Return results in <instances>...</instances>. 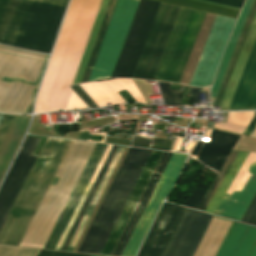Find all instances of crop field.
Returning <instances> with one entry per match:
<instances>
[{
	"mask_svg": "<svg viewBox=\"0 0 256 256\" xmlns=\"http://www.w3.org/2000/svg\"><path fill=\"white\" fill-rule=\"evenodd\" d=\"M101 0H72L53 57L39 91L35 112L86 108L68 88Z\"/></svg>",
	"mask_w": 256,
	"mask_h": 256,
	"instance_id": "obj_1",
	"label": "crop field"
},
{
	"mask_svg": "<svg viewBox=\"0 0 256 256\" xmlns=\"http://www.w3.org/2000/svg\"><path fill=\"white\" fill-rule=\"evenodd\" d=\"M68 0H0V43L50 53Z\"/></svg>",
	"mask_w": 256,
	"mask_h": 256,
	"instance_id": "obj_2",
	"label": "crop field"
},
{
	"mask_svg": "<svg viewBox=\"0 0 256 256\" xmlns=\"http://www.w3.org/2000/svg\"><path fill=\"white\" fill-rule=\"evenodd\" d=\"M95 144L73 140L50 187L55 196L43 198L20 246L43 248Z\"/></svg>",
	"mask_w": 256,
	"mask_h": 256,
	"instance_id": "obj_3",
	"label": "crop field"
},
{
	"mask_svg": "<svg viewBox=\"0 0 256 256\" xmlns=\"http://www.w3.org/2000/svg\"><path fill=\"white\" fill-rule=\"evenodd\" d=\"M150 153L129 148L78 251L101 253Z\"/></svg>",
	"mask_w": 256,
	"mask_h": 256,
	"instance_id": "obj_4",
	"label": "crop field"
},
{
	"mask_svg": "<svg viewBox=\"0 0 256 256\" xmlns=\"http://www.w3.org/2000/svg\"><path fill=\"white\" fill-rule=\"evenodd\" d=\"M171 153L163 152L138 204L136 205L112 255L120 256ZM187 155L173 153L122 256H134L161 201L174 185Z\"/></svg>",
	"mask_w": 256,
	"mask_h": 256,
	"instance_id": "obj_5",
	"label": "crop field"
},
{
	"mask_svg": "<svg viewBox=\"0 0 256 256\" xmlns=\"http://www.w3.org/2000/svg\"><path fill=\"white\" fill-rule=\"evenodd\" d=\"M0 51L43 60L45 55L0 45ZM44 62L0 53V109L24 111L35 88L5 87V81H29L36 84ZM4 112V111H3Z\"/></svg>",
	"mask_w": 256,
	"mask_h": 256,
	"instance_id": "obj_6",
	"label": "crop field"
},
{
	"mask_svg": "<svg viewBox=\"0 0 256 256\" xmlns=\"http://www.w3.org/2000/svg\"><path fill=\"white\" fill-rule=\"evenodd\" d=\"M205 14L181 8L154 80L179 82Z\"/></svg>",
	"mask_w": 256,
	"mask_h": 256,
	"instance_id": "obj_7",
	"label": "crop field"
},
{
	"mask_svg": "<svg viewBox=\"0 0 256 256\" xmlns=\"http://www.w3.org/2000/svg\"><path fill=\"white\" fill-rule=\"evenodd\" d=\"M139 0H117L88 81L109 78Z\"/></svg>",
	"mask_w": 256,
	"mask_h": 256,
	"instance_id": "obj_8",
	"label": "crop field"
},
{
	"mask_svg": "<svg viewBox=\"0 0 256 256\" xmlns=\"http://www.w3.org/2000/svg\"><path fill=\"white\" fill-rule=\"evenodd\" d=\"M159 4L149 0L139 1L110 78L132 77Z\"/></svg>",
	"mask_w": 256,
	"mask_h": 256,
	"instance_id": "obj_9",
	"label": "crop field"
},
{
	"mask_svg": "<svg viewBox=\"0 0 256 256\" xmlns=\"http://www.w3.org/2000/svg\"><path fill=\"white\" fill-rule=\"evenodd\" d=\"M180 8L160 4L132 78L154 79Z\"/></svg>",
	"mask_w": 256,
	"mask_h": 256,
	"instance_id": "obj_10",
	"label": "crop field"
},
{
	"mask_svg": "<svg viewBox=\"0 0 256 256\" xmlns=\"http://www.w3.org/2000/svg\"><path fill=\"white\" fill-rule=\"evenodd\" d=\"M40 138L27 136L0 188V229L37 157L33 154Z\"/></svg>",
	"mask_w": 256,
	"mask_h": 256,
	"instance_id": "obj_11",
	"label": "crop field"
},
{
	"mask_svg": "<svg viewBox=\"0 0 256 256\" xmlns=\"http://www.w3.org/2000/svg\"><path fill=\"white\" fill-rule=\"evenodd\" d=\"M251 162H256V153H249L247 159L242 165L240 171L235 177L224 198L228 199L231 193H234L238 184L245 185L254 171L247 170ZM249 169L256 170V163H251ZM256 192V171L246 183L245 186L238 185L234 194L229 200L223 199L217 208L215 214L227 216L234 219H240L249 202Z\"/></svg>",
	"mask_w": 256,
	"mask_h": 256,
	"instance_id": "obj_12",
	"label": "crop field"
},
{
	"mask_svg": "<svg viewBox=\"0 0 256 256\" xmlns=\"http://www.w3.org/2000/svg\"><path fill=\"white\" fill-rule=\"evenodd\" d=\"M211 218L187 208L163 256H193Z\"/></svg>",
	"mask_w": 256,
	"mask_h": 256,
	"instance_id": "obj_13",
	"label": "crop field"
},
{
	"mask_svg": "<svg viewBox=\"0 0 256 256\" xmlns=\"http://www.w3.org/2000/svg\"><path fill=\"white\" fill-rule=\"evenodd\" d=\"M185 209L164 202L137 256H162Z\"/></svg>",
	"mask_w": 256,
	"mask_h": 256,
	"instance_id": "obj_14",
	"label": "crop field"
},
{
	"mask_svg": "<svg viewBox=\"0 0 256 256\" xmlns=\"http://www.w3.org/2000/svg\"><path fill=\"white\" fill-rule=\"evenodd\" d=\"M106 145L96 144L44 248L54 249Z\"/></svg>",
	"mask_w": 256,
	"mask_h": 256,
	"instance_id": "obj_15",
	"label": "crop field"
},
{
	"mask_svg": "<svg viewBox=\"0 0 256 256\" xmlns=\"http://www.w3.org/2000/svg\"><path fill=\"white\" fill-rule=\"evenodd\" d=\"M238 138V135L212 129L209 142H197L191 155L219 172Z\"/></svg>",
	"mask_w": 256,
	"mask_h": 256,
	"instance_id": "obj_16",
	"label": "crop field"
},
{
	"mask_svg": "<svg viewBox=\"0 0 256 256\" xmlns=\"http://www.w3.org/2000/svg\"><path fill=\"white\" fill-rule=\"evenodd\" d=\"M98 107L111 102L112 105L124 102L117 92L127 89L138 102L145 103L132 79H114L80 85Z\"/></svg>",
	"mask_w": 256,
	"mask_h": 256,
	"instance_id": "obj_17",
	"label": "crop field"
},
{
	"mask_svg": "<svg viewBox=\"0 0 256 256\" xmlns=\"http://www.w3.org/2000/svg\"><path fill=\"white\" fill-rule=\"evenodd\" d=\"M162 152L153 151L102 254L111 255L136 203L138 202Z\"/></svg>",
	"mask_w": 256,
	"mask_h": 256,
	"instance_id": "obj_18",
	"label": "crop field"
},
{
	"mask_svg": "<svg viewBox=\"0 0 256 256\" xmlns=\"http://www.w3.org/2000/svg\"><path fill=\"white\" fill-rule=\"evenodd\" d=\"M256 109V40L228 110Z\"/></svg>",
	"mask_w": 256,
	"mask_h": 256,
	"instance_id": "obj_19",
	"label": "crop field"
},
{
	"mask_svg": "<svg viewBox=\"0 0 256 256\" xmlns=\"http://www.w3.org/2000/svg\"><path fill=\"white\" fill-rule=\"evenodd\" d=\"M255 238V228L233 222L216 256H247Z\"/></svg>",
	"mask_w": 256,
	"mask_h": 256,
	"instance_id": "obj_20",
	"label": "crop field"
},
{
	"mask_svg": "<svg viewBox=\"0 0 256 256\" xmlns=\"http://www.w3.org/2000/svg\"><path fill=\"white\" fill-rule=\"evenodd\" d=\"M255 37H256V14L251 24V27L249 29V32L247 34V37L245 39V42L243 44L242 50L240 52V55L234 67L230 80L228 82V85L223 95V98L221 100V103L219 105L222 110L228 109L233 93L235 91V88L237 86L241 73L243 71L244 65L246 63V60L248 58V55L254 43Z\"/></svg>",
	"mask_w": 256,
	"mask_h": 256,
	"instance_id": "obj_21",
	"label": "crop field"
},
{
	"mask_svg": "<svg viewBox=\"0 0 256 256\" xmlns=\"http://www.w3.org/2000/svg\"><path fill=\"white\" fill-rule=\"evenodd\" d=\"M231 222L212 218L194 256H215Z\"/></svg>",
	"mask_w": 256,
	"mask_h": 256,
	"instance_id": "obj_22",
	"label": "crop field"
},
{
	"mask_svg": "<svg viewBox=\"0 0 256 256\" xmlns=\"http://www.w3.org/2000/svg\"><path fill=\"white\" fill-rule=\"evenodd\" d=\"M255 11H256V0H253L252 5H251L250 10L248 12V15L246 17V20L244 22L243 28L241 30V33L239 35V38H238L237 43L235 45L234 51L232 53V56L230 58V61L228 63V66L226 68L225 74L223 76V79L221 81V84L219 86V89L217 91L216 97H215L214 102H213L212 105L218 106L219 103H220V100H221L222 95L224 93L225 87L227 85V82L229 80V77L231 75L233 67H234L235 62L237 60V57L239 55L240 49L242 47V44L244 42V39L246 37V34L248 32V29L250 27L252 19L254 17Z\"/></svg>",
	"mask_w": 256,
	"mask_h": 256,
	"instance_id": "obj_23",
	"label": "crop field"
},
{
	"mask_svg": "<svg viewBox=\"0 0 256 256\" xmlns=\"http://www.w3.org/2000/svg\"><path fill=\"white\" fill-rule=\"evenodd\" d=\"M158 2L184 6L204 12L237 18L240 9L217 5L199 0H154Z\"/></svg>",
	"mask_w": 256,
	"mask_h": 256,
	"instance_id": "obj_24",
	"label": "crop field"
},
{
	"mask_svg": "<svg viewBox=\"0 0 256 256\" xmlns=\"http://www.w3.org/2000/svg\"><path fill=\"white\" fill-rule=\"evenodd\" d=\"M247 152L239 151L238 155L236 156L234 162L232 163L231 167L229 168L228 172L226 173L225 177L223 178L221 184L219 185L218 189L216 190L215 194L213 195L212 199L210 200L208 206L205 209V212L214 213L215 209L217 208L218 204L220 203L221 199L223 198L225 192L227 191L228 187L230 186L232 180L234 179L236 173L238 172L240 166L242 165L243 161L247 156Z\"/></svg>",
	"mask_w": 256,
	"mask_h": 256,
	"instance_id": "obj_25",
	"label": "crop field"
},
{
	"mask_svg": "<svg viewBox=\"0 0 256 256\" xmlns=\"http://www.w3.org/2000/svg\"><path fill=\"white\" fill-rule=\"evenodd\" d=\"M251 2H252V0H247L246 3H245V5H244V7H243V9H242V11H241V14H240V16H239V19H238V21H237V24H236V26H235V28H234V31H233L232 36H231V38H230L229 44H228V46H227L226 52H225V54H224L223 60H222V62H221V65H220V67H219V70H218V72H217V75H216V77H215V79H214V82H213V84H212L211 97H214L215 94H216V91H217V89H218L219 83H220V81H221V78H222V76H223V73H224V71H225V68H226V66H227V63H228V61H229L230 55H231V53H232V50H233V48H234V45H235L236 40H237V38H238V35H239V33H240L241 27H242V25H243V22H244V20H245V17H246V15H247V12H248V10H249V7H250V5H251Z\"/></svg>",
	"mask_w": 256,
	"mask_h": 256,
	"instance_id": "obj_26",
	"label": "crop field"
},
{
	"mask_svg": "<svg viewBox=\"0 0 256 256\" xmlns=\"http://www.w3.org/2000/svg\"><path fill=\"white\" fill-rule=\"evenodd\" d=\"M108 1L109 0H102V3H101V6L99 8V11H98L95 23L93 25V28H92V31H91V34H90V37H89L86 49L84 51L81 63L79 65L78 69H77V72H76V75H75V78H74L72 84L78 83V82L81 81L82 75L84 73V70H85V67H86L89 55L91 53V50H92V47H93V44H94V41H95V38H96V35H97L99 27H100L103 15L105 13Z\"/></svg>",
	"mask_w": 256,
	"mask_h": 256,
	"instance_id": "obj_27",
	"label": "crop field"
},
{
	"mask_svg": "<svg viewBox=\"0 0 256 256\" xmlns=\"http://www.w3.org/2000/svg\"><path fill=\"white\" fill-rule=\"evenodd\" d=\"M116 148H117V146H112V148H111V150H110V152H109V154H108V156H107V158H106V160H105V162H104V164H103V166H102V168H101V170H100V172H99V174H98V176H97V178H96V180H95V182H94V184H93V186H92V188H91V190H90V192H89V194H88V196H87V198H86V200H85V202H84V204H83V206H82V208H81V210H80V212H79V214H78V216H77V218H76V220H75V222H74V224H73V226H72V228H71V230H70V232H69V234H68V236H67V238L64 242V244H63V246H62V248H61V250H66V248H67V246H68V244H69V242H70V240H71V238H72V236H73V234H74V232H75V230H76V228H77V226H78V224H79V222H80V220H81V218H82V216H83V214H84V212H85V210H86V208H87V206H88V204H89V202H90V200H91V198H92V196H93V194H94V192H95V190H96V188H97V186H98V184H99V182H100V180H101V178H102V176H103V174H104V172H105V170H106V168H107V166H108V164H109V162H110V160H111V158L114 154V152H115V150H116Z\"/></svg>",
	"mask_w": 256,
	"mask_h": 256,
	"instance_id": "obj_28",
	"label": "crop field"
},
{
	"mask_svg": "<svg viewBox=\"0 0 256 256\" xmlns=\"http://www.w3.org/2000/svg\"><path fill=\"white\" fill-rule=\"evenodd\" d=\"M115 3H116V0H110V1H109V4H108L107 10H106L104 19H103V21H102V24H101V27H100L98 36H97V38H96V41H95V44H94L92 53H91V55H90V58H89V61H88V64H87V67H86V70H85V73H84V75H83V78H82V81H81V82H87V80H88V77H89V75H90L92 66H93V64H94L96 55H97L98 50H99V47H100V44H101V42H102L104 33H105V31H106L108 22H109V20H110L112 11H113V9H114Z\"/></svg>",
	"mask_w": 256,
	"mask_h": 256,
	"instance_id": "obj_29",
	"label": "crop field"
},
{
	"mask_svg": "<svg viewBox=\"0 0 256 256\" xmlns=\"http://www.w3.org/2000/svg\"><path fill=\"white\" fill-rule=\"evenodd\" d=\"M253 116L254 112L229 113L226 123L215 124L214 127L242 134Z\"/></svg>",
	"mask_w": 256,
	"mask_h": 256,
	"instance_id": "obj_30",
	"label": "crop field"
},
{
	"mask_svg": "<svg viewBox=\"0 0 256 256\" xmlns=\"http://www.w3.org/2000/svg\"><path fill=\"white\" fill-rule=\"evenodd\" d=\"M110 148H111V146L107 145V147H106V149H105V151H104V153H103V155H102V157H101V159H100V161H99V163H98V165H97V167H96V169H95V171H94V173H93V175L90 179L91 182H94V180H95V178H96V176H97V174H98V172H99V170H100V168H101V166H102ZM91 182L88 183V185H87V187H86V189H85V191H84V193H83V195H82V197H81V199H80V201H79V203H78V205H77V207H76V209H75V211H74V213H73V215H72V217H71V219H70V221H69V223H68V225H67V227H66V229H65V231H64V233H63V235H62V237H61V239L58 243V245H57V247H56L57 250L60 249V247H61V245H62V243H63V241H64V239H65V237H66V235H67V233H68V231H69V229H70V227H71V225H72V223H73V221H74V219H75V217H76V215H77V213H78V211H79V209H80V207H81V205H82V203H83V201H84V199H85V197H86V195H87V193H88V191H89V189L92 185Z\"/></svg>",
	"mask_w": 256,
	"mask_h": 256,
	"instance_id": "obj_31",
	"label": "crop field"
},
{
	"mask_svg": "<svg viewBox=\"0 0 256 256\" xmlns=\"http://www.w3.org/2000/svg\"><path fill=\"white\" fill-rule=\"evenodd\" d=\"M237 153H238V151H231L226 162L224 163L223 167L221 168L218 176L216 177V179L212 182L211 186L209 187L206 196L204 197V199L202 200L201 204L198 207V210L204 211L205 207L207 206L209 200L211 199L212 195L214 194L215 190L217 189L218 185L220 184L222 178L224 177L225 173L227 172L228 168L230 167V165L233 162Z\"/></svg>",
	"mask_w": 256,
	"mask_h": 256,
	"instance_id": "obj_32",
	"label": "crop field"
},
{
	"mask_svg": "<svg viewBox=\"0 0 256 256\" xmlns=\"http://www.w3.org/2000/svg\"><path fill=\"white\" fill-rule=\"evenodd\" d=\"M166 106H181L180 91L170 90L169 83L158 82Z\"/></svg>",
	"mask_w": 256,
	"mask_h": 256,
	"instance_id": "obj_33",
	"label": "crop field"
},
{
	"mask_svg": "<svg viewBox=\"0 0 256 256\" xmlns=\"http://www.w3.org/2000/svg\"><path fill=\"white\" fill-rule=\"evenodd\" d=\"M39 250L0 246V256H36Z\"/></svg>",
	"mask_w": 256,
	"mask_h": 256,
	"instance_id": "obj_34",
	"label": "crop field"
},
{
	"mask_svg": "<svg viewBox=\"0 0 256 256\" xmlns=\"http://www.w3.org/2000/svg\"><path fill=\"white\" fill-rule=\"evenodd\" d=\"M240 222L256 225V194L243 214Z\"/></svg>",
	"mask_w": 256,
	"mask_h": 256,
	"instance_id": "obj_35",
	"label": "crop field"
},
{
	"mask_svg": "<svg viewBox=\"0 0 256 256\" xmlns=\"http://www.w3.org/2000/svg\"><path fill=\"white\" fill-rule=\"evenodd\" d=\"M206 191L194 189L192 195L189 197V199L185 202L184 206H188L191 208L197 209L200 201L202 200L204 194Z\"/></svg>",
	"mask_w": 256,
	"mask_h": 256,
	"instance_id": "obj_36",
	"label": "crop field"
},
{
	"mask_svg": "<svg viewBox=\"0 0 256 256\" xmlns=\"http://www.w3.org/2000/svg\"><path fill=\"white\" fill-rule=\"evenodd\" d=\"M5 114H0V123L3 119ZM15 115H5L1 125H0V145L14 119Z\"/></svg>",
	"mask_w": 256,
	"mask_h": 256,
	"instance_id": "obj_37",
	"label": "crop field"
},
{
	"mask_svg": "<svg viewBox=\"0 0 256 256\" xmlns=\"http://www.w3.org/2000/svg\"><path fill=\"white\" fill-rule=\"evenodd\" d=\"M71 88L89 107H97V105L87 96L79 85L72 86Z\"/></svg>",
	"mask_w": 256,
	"mask_h": 256,
	"instance_id": "obj_38",
	"label": "crop field"
},
{
	"mask_svg": "<svg viewBox=\"0 0 256 256\" xmlns=\"http://www.w3.org/2000/svg\"><path fill=\"white\" fill-rule=\"evenodd\" d=\"M204 1L231 6L235 8H241L245 0H204Z\"/></svg>",
	"mask_w": 256,
	"mask_h": 256,
	"instance_id": "obj_39",
	"label": "crop field"
},
{
	"mask_svg": "<svg viewBox=\"0 0 256 256\" xmlns=\"http://www.w3.org/2000/svg\"><path fill=\"white\" fill-rule=\"evenodd\" d=\"M172 141L169 140H163V139H154L153 147L154 149H160V150H169V147L171 145Z\"/></svg>",
	"mask_w": 256,
	"mask_h": 256,
	"instance_id": "obj_40",
	"label": "crop field"
},
{
	"mask_svg": "<svg viewBox=\"0 0 256 256\" xmlns=\"http://www.w3.org/2000/svg\"><path fill=\"white\" fill-rule=\"evenodd\" d=\"M150 141L151 140H149V139L135 136L133 139L132 146L148 148Z\"/></svg>",
	"mask_w": 256,
	"mask_h": 256,
	"instance_id": "obj_41",
	"label": "crop field"
},
{
	"mask_svg": "<svg viewBox=\"0 0 256 256\" xmlns=\"http://www.w3.org/2000/svg\"><path fill=\"white\" fill-rule=\"evenodd\" d=\"M67 253L40 250L37 256H65Z\"/></svg>",
	"mask_w": 256,
	"mask_h": 256,
	"instance_id": "obj_42",
	"label": "crop field"
},
{
	"mask_svg": "<svg viewBox=\"0 0 256 256\" xmlns=\"http://www.w3.org/2000/svg\"><path fill=\"white\" fill-rule=\"evenodd\" d=\"M191 102H199V89L190 87Z\"/></svg>",
	"mask_w": 256,
	"mask_h": 256,
	"instance_id": "obj_43",
	"label": "crop field"
},
{
	"mask_svg": "<svg viewBox=\"0 0 256 256\" xmlns=\"http://www.w3.org/2000/svg\"><path fill=\"white\" fill-rule=\"evenodd\" d=\"M255 127H256V113H255V116H254V118L252 119V121L249 123V125H248V127H247V130L253 131V129H254ZM247 130H245L243 134L250 136L251 131H247Z\"/></svg>",
	"mask_w": 256,
	"mask_h": 256,
	"instance_id": "obj_44",
	"label": "crop field"
},
{
	"mask_svg": "<svg viewBox=\"0 0 256 256\" xmlns=\"http://www.w3.org/2000/svg\"><path fill=\"white\" fill-rule=\"evenodd\" d=\"M181 139V137H174L170 151L179 150Z\"/></svg>",
	"mask_w": 256,
	"mask_h": 256,
	"instance_id": "obj_45",
	"label": "crop field"
},
{
	"mask_svg": "<svg viewBox=\"0 0 256 256\" xmlns=\"http://www.w3.org/2000/svg\"><path fill=\"white\" fill-rule=\"evenodd\" d=\"M248 256H256V241H255V243H254V245H253V247H252Z\"/></svg>",
	"mask_w": 256,
	"mask_h": 256,
	"instance_id": "obj_46",
	"label": "crop field"
},
{
	"mask_svg": "<svg viewBox=\"0 0 256 256\" xmlns=\"http://www.w3.org/2000/svg\"><path fill=\"white\" fill-rule=\"evenodd\" d=\"M67 256H90L86 254H74V253H68Z\"/></svg>",
	"mask_w": 256,
	"mask_h": 256,
	"instance_id": "obj_47",
	"label": "crop field"
},
{
	"mask_svg": "<svg viewBox=\"0 0 256 256\" xmlns=\"http://www.w3.org/2000/svg\"><path fill=\"white\" fill-rule=\"evenodd\" d=\"M91 256H99V255H91Z\"/></svg>",
	"mask_w": 256,
	"mask_h": 256,
	"instance_id": "obj_48",
	"label": "crop field"
}]
</instances>
